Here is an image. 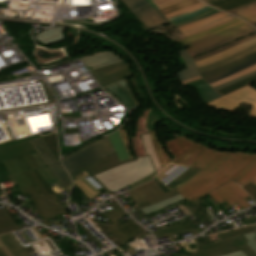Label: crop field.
<instances>
[{"instance_id": "crop-field-51", "label": "crop field", "mask_w": 256, "mask_h": 256, "mask_svg": "<svg viewBox=\"0 0 256 256\" xmlns=\"http://www.w3.org/2000/svg\"><path fill=\"white\" fill-rule=\"evenodd\" d=\"M149 5L155 10V12L161 17V19L164 21L166 24H171L165 16L161 13V11L154 5V3L151 0H146Z\"/></svg>"}, {"instance_id": "crop-field-25", "label": "crop field", "mask_w": 256, "mask_h": 256, "mask_svg": "<svg viewBox=\"0 0 256 256\" xmlns=\"http://www.w3.org/2000/svg\"><path fill=\"white\" fill-rule=\"evenodd\" d=\"M90 176L85 171L72 177L74 183L86 194L90 199L100 193V190L96 189L93 185H91L85 178ZM103 188V187H102ZM101 189V188H100Z\"/></svg>"}, {"instance_id": "crop-field-11", "label": "crop field", "mask_w": 256, "mask_h": 256, "mask_svg": "<svg viewBox=\"0 0 256 256\" xmlns=\"http://www.w3.org/2000/svg\"><path fill=\"white\" fill-rule=\"evenodd\" d=\"M29 142L35 148V150L46 163V165L49 166V168L54 173V175L59 179V181L66 187L68 191H70L71 180L69 179L61 165L57 163V161L55 160V158L53 157V155L51 154V152L49 151L41 137L30 139Z\"/></svg>"}, {"instance_id": "crop-field-46", "label": "crop field", "mask_w": 256, "mask_h": 256, "mask_svg": "<svg viewBox=\"0 0 256 256\" xmlns=\"http://www.w3.org/2000/svg\"><path fill=\"white\" fill-rule=\"evenodd\" d=\"M152 1L155 3V5L159 9H161V8L168 7V6L177 4V3L185 1V0H152Z\"/></svg>"}, {"instance_id": "crop-field-45", "label": "crop field", "mask_w": 256, "mask_h": 256, "mask_svg": "<svg viewBox=\"0 0 256 256\" xmlns=\"http://www.w3.org/2000/svg\"><path fill=\"white\" fill-rule=\"evenodd\" d=\"M207 84L208 83L206 81H204L200 76L193 78L191 80L182 82L183 86H190V87H194V88H199V87H202Z\"/></svg>"}, {"instance_id": "crop-field-30", "label": "crop field", "mask_w": 256, "mask_h": 256, "mask_svg": "<svg viewBox=\"0 0 256 256\" xmlns=\"http://www.w3.org/2000/svg\"><path fill=\"white\" fill-rule=\"evenodd\" d=\"M250 24L256 22V3L229 12Z\"/></svg>"}, {"instance_id": "crop-field-17", "label": "crop field", "mask_w": 256, "mask_h": 256, "mask_svg": "<svg viewBox=\"0 0 256 256\" xmlns=\"http://www.w3.org/2000/svg\"><path fill=\"white\" fill-rule=\"evenodd\" d=\"M135 159H136V158H134V159H132V160H135ZM132 160H129V161H132ZM125 162H128V161H125ZM125 162L119 163V161H118V159H117V156H116V154L114 153V154H112V155L106 156V157H104V158H102V159H100V160H98V161H96V162L90 164L89 166H87V167H85V168H83V169H81V170H79V171H77V172L71 174V177L85 170V171L88 172L99 184H101V185L105 188V186H104L102 183H100L93 175H95V174H97V173H100V172H102V171H105V170H107V169H109V168H112V167H114V166H117V165H119V164L125 163ZM105 189H106V188H105ZM106 190H107V189H106ZM106 190H105V191H106ZM107 192H108V190H107ZM108 193H109V192H108ZM109 194H110V193H109ZM110 195H111V194H110Z\"/></svg>"}, {"instance_id": "crop-field-43", "label": "crop field", "mask_w": 256, "mask_h": 256, "mask_svg": "<svg viewBox=\"0 0 256 256\" xmlns=\"http://www.w3.org/2000/svg\"><path fill=\"white\" fill-rule=\"evenodd\" d=\"M197 2H199V1L198 0H188V1H185V2H182V3H179L177 5L161 9V11L163 12L164 15H166V14H169L171 12L177 11L179 9H182V8L188 7L190 5H193Z\"/></svg>"}, {"instance_id": "crop-field-44", "label": "crop field", "mask_w": 256, "mask_h": 256, "mask_svg": "<svg viewBox=\"0 0 256 256\" xmlns=\"http://www.w3.org/2000/svg\"><path fill=\"white\" fill-rule=\"evenodd\" d=\"M255 70H256V66H254V67H252V68H249V69H247V70H245V71H242V72H240V73H237V74H235V75H233V76H230V77H228V78H226V79H223V80H221V81H218V82H216V83H212L211 86L214 87V86L221 85V84H223V83H226V82H229V81H231V80H234V79H236V78H238V77H241V76H243V75H245V74H248V73H250V72H252V71H255Z\"/></svg>"}, {"instance_id": "crop-field-28", "label": "crop field", "mask_w": 256, "mask_h": 256, "mask_svg": "<svg viewBox=\"0 0 256 256\" xmlns=\"http://www.w3.org/2000/svg\"><path fill=\"white\" fill-rule=\"evenodd\" d=\"M140 137H141V141H142L143 148H144V154L149 155L151 162L154 166V169L156 171V174H157L162 169H161V167L158 163V160L156 158V155L154 153V149H153L149 131L147 133L141 135Z\"/></svg>"}, {"instance_id": "crop-field-42", "label": "crop field", "mask_w": 256, "mask_h": 256, "mask_svg": "<svg viewBox=\"0 0 256 256\" xmlns=\"http://www.w3.org/2000/svg\"><path fill=\"white\" fill-rule=\"evenodd\" d=\"M186 169L187 168H185V167L175 165L170 170H168L166 173H164L167 176L164 179H162L161 181L166 185L167 183H169L171 180H173L176 176H178L180 173H182Z\"/></svg>"}, {"instance_id": "crop-field-1", "label": "crop field", "mask_w": 256, "mask_h": 256, "mask_svg": "<svg viewBox=\"0 0 256 256\" xmlns=\"http://www.w3.org/2000/svg\"><path fill=\"white\" fill-rule=\"evenodd\" d=\"M186 166L202 169L177 191L189 202L206 194L218 203H238L244 209L251 207L243 199L247 195L240 186L252 181L256 184V154L222 152L207 147Z\"/></svg>"}, {"instance_id": "crop-field-35", "label": "crop field", "mask_w": 256, "mask_h": 256, "mask_svg": "<svg viewBox=\"0 0 256 256\" xmlns=\"http://www.w3.org/2000/svg\"><path fill=\"white\" fill-rule=\"evenodd\" d=\"M254 51H256V45L253 46V47H251V48H249V49H247V50H245V51H243V52H240V53H238V54H235V55H233V56H231V57H228V58L223 59V60H221V61H218V62L209 64V65H206V66H204V67H201V68H199L198 70H199V72H201V71H205V70H208V69H211V68H214V67H218V66L227 64V63H229V62H231V61H233V60H235V59H237V58H239V57H242V56L247 55V54H249V53H252V52H254Z\"/></svg>"}, {"instance_id": "crop-field-21", "label": "crop field", "mask_w": 256, "mask_h": 256, "mask_svg": "<svg viewBox=\"0 0 256 256\" xmlns=\"http://www.w3.org/2000/svg\"><path fill=\"white\" fill-rule=\"evenodd\" d=\"M0 240L8 248V250L13 254V256H29L23 246L18 242V240L13 236L12 233L0 236ZM0 256H5L0 249Z\"/></svg>"}, {"instance_id": "crop-field-38", "label": "crop field", "mask_w": 256, "mask_h": 256, "mask_svg": "<svg viewBox=\"0 0 256 256\" xmlns=\"http://www.w3.org/2000/svg\"><path fill=\"white\" fill-rule=\"evenodd\" d=\"M196 91H197L202 103H204V104L213 99L220 97L218 94H216L213 91L212 87L209 85L199 88Z\"/></svg>"}, {"instance_id": "crop-field-54", "label": "crop field", "mask_w": 256, "mask_h": 256, "mask_svg": "<svg viewBox=\"0 0 256 256\" xmlns=\"http://www.w3.org/2000/svg\"><path fill=\"white\" fill-rule=\"evenodd\" d=\"M242 188L256 201V191H254L248 184L242 186Z\"/></svg>"}, {"instance_id": "crop-field-10", "label": "crop field", "mask_w": 256, "mask_h": 256, "mask_svg": "<svg viewBox=\"0 0 256 256\" xmlns=\"http://www.w3.org/2000/svg\"><path fill=\"white\" fill-rule=\"evenodd\" d=\"M256 64V52L239 58L227 65L214 68L205 72H201L200 75L209 83L216 82L237 72L245 70Z\"/></svg>"}, {"instance_id": "crop-field-48", "label": "crop field", "mask_w": 256, "mask_h": 256, "mask_svg": "<svg viewBox=\"0 0 256 256\" xmlns=\"http://www.w3.org/2000/svg\"><path fill=\"white\" fill-rule=\"evenodd\" d=\"M12 180L8 170L4 166L3 162L0 163V183Z\"/></svg>"}, {"instance_id": "crop-field-56", "label": "crop field", "mask_w": 256, "mask_h": 256, "mask_svg": "<svg viewBox=\"0 0 256 256\" xmlns=\"http://www.w3.org/2000/svg\"><path fill=\"white\" fill-rule=\"evenodd\" d=\"M154 175H155V173L152 174V175H150V176H148V177H146V178H144V179H142V180H140V181H138V182H136V183H134V184H132V185H130L131 188H134V187H136V186H138V185H141V184H143V183H145V182H147V181L152 180V178L154 177Z\"/></svg>"}, {"instance_id": "crop-field-8", "label": "crop field", "mask_w": 256, "mask_h": 256, "mask_svg": "<svg viewBox=\"0 0 256 256\" xmlns=\"http://www.w3.org/2000/svg\"><path fill=\"white\" fill-rule=\"evenodd\" d=\"M165 142L167 148L175 157L171 163L184 166L206 148V145L198 142L196 143L178 134H175L174 138L168 139Z\"/></svg>"}, {"instance_id": "crop-field-59", "label": "crop field", "mask_w": 256, "mask_h": 256, "mask_svg": "<svg viewBox=\"0 0 256 256\" xmlns=\"http://www.w3.org/2000/svg\"><path fill=\"white\" fill-rule=\"evenodd\" d=\"M173 165H169V166H167L165 169H163L159 174H158V178L161 180L163 177H165L166 175H164L163 173L165 172V171H167L169 168H171Z\"/></svg>"}, {"instance_id": "crop-field-36", "label": "crop field", "mask_w": 256, "mask_h": 256, "mask_svg": "<svg viewBox=\"0 0 256 256\" xmlns=\"http://www.w3.org/2000/svg\"><path fill=\"white\" fill-rule=\"evenodd\" d=\"M185 232H187V230L182 225V223H180V224L173 225V226H170L168 228H165L163 230L153 232V234L156 238H159V237H164V236L169 237V236H173V235H176V234H179V233L182 234V233H185Z\"/></svg>"}, {"instance_id": "crop-field-61", "label": "crop field", "mask_w": 256, "mask_h": 256, "mask_svg": "<svg viewBox=\"0 0 256 256\" xmlns=\"http://www.w3.org/2000/svg\"><path fill=\"white\" fill-rule=\"evenodd\" d=\"M1 249L6 254V256H12V254L7 250V248L3 245V243L0 241Z\"/></svg>"}, {"instance_id": "crop-field-15", "label": "crop field", "mask_w": 256, "mask_h": 256, "mask_svg": "<svg viewBox=\"0 0 256 256\" xmlns=\"http://www.w3.org/2000/svg\"><path fill=\"white\" fill-rule=\"evenodd\" d=\"M103 89L108 91L111 95L122 102L129 111L139 106L137 99L135 98L125 79L112 85L106 86Z\"/></svg>"}, {"instance_id": "crop-field-34", "label": "crop field", "mask_w": 256, "mask_h": 256, "mask_svg": "<svg viewBox=\"0 0 256 256\" xmlns=\"http://www.w3.org/2000/svg\"><path fill=\"white\" fill-rule=\"evenodd\" d=\"M181 199H183V197L180 194H178V195H176L174 197H171L169 199H166L162 202H159V203L154 204V205L147 206V207L139 209V210H142L146 215H148V214H150L152 212H155L159 209H162V208H164V207H166V206H168L172 203H175V202H177ZM139 210H136V211H139ZM136 211H134V212H136ZM134 212H131L130 214H132Z\"/></svg>"}, {"instance_id": "crop-field-27", "label": "crop field", "mask_w": 256, "mask_h": 256, "mask_svg": "<svg viewBox=\"0 0 256 256\" xmlns=\"http://www.w3.org/2000/svg\"><path fill=\"white\" fill-rule=\"evenodd\" d=\"M195 240L198 243L201 251L234 243L232 238L219 242L216 234L197 238Z\"/></svg>"}, {"instance_id": "crop-field-6", "label": "crop field", "mask_w": 256, "mask_h": 256, "mask_svg": "<svg viewBox=\"0 0 256 256\" xmlns=\"http://www.w3.org/2000/svg\"><path fill=\"white\" fill-rule=\"evenodd\" d=\"M109 206L113 210L104 213V215L113 223V225L107 226L106 228L121 244L127 243L133 238L147 232L133 219L120 225L116 219L127 214L116 202L109 204Z\"/></svg>"}, {"instance_id": "crop-field-37", "label": "crop field", "mask_w": 256, "mask_h": 256, "mask_svg": "<svg viewBox=\"0 0 256 256\" xmlns=\"http://www.w3.org/2000/svg\"><path fill=\"white\" fill-rule=\"evenodd\" d=\"M254 82H256V75H254L252 77H249V78H247L245 80H242V81H240L238 83H235V84H233V85H231L229 87L226 86L227 88L216 90V92L218 94L224 96V95H226V94H228L230 92H233V91H235L237 89H240V88H242V87H244V86H246L248 84L254 83Z\"/></svg>"}, {"instance_id": "crop-field-20", "label": "crop field", "mask_w": 256, "mask_h": 256, "mask_svg": "<svg viewBox=\"0 0 256 256\" xmlns=\"http://www.w3.org/2000/svg\"><path fill=\"white\" fill-rule=\"evenodd\" d=\"M64 28L56 27L52 29H48L34 38L35 42L39 41L46 45H50L56 42H62L66 39L65 35L62 33Z\"/></svg>"}, {"instance_id": "crop-field-64", "label": "crop field", "mask_w": 256, "mask_h": 256, "mask_svg": "<svg viewBox=\"0 0 256 256\" xmlns=\"http://www.w3.org/2000/svg\"><path fill=\"white\" fill-rule=\"evenodd\" d=\"M254 190H256V186H254L253 184L251 183H248Z\"/></svg>"}, {"instance_id": "crop-field-50", "label": "crop field", "mask_w": 256, "mask_h": 256, "mask_svg": "<svg viewBox=\"0 0 256 256\" xmlns=\"http://www.w3.org/2000/svg\"><path fill=\"white\" fill-rule=\"evenodd\" d=\"M237 245L247 256H256V254L252 251V249L247 245L246 242H241Z\"/></svg>"}, {"instance_id": "crop-field-26", "label": "crop field", "mask_w": 256, "mask_h": 256, "mask_svg": "<svg viewBox=\"0 0 256 256\" xmlns=\"http://www.w3.org/2000/svg\"><path fill=\"white\" fill-rule=\"evenodd\" d=\"M108 137L116 151L119 161L121 162V161L129 160L130 156L127 152V149L124 145V142L121 138L119 131H116L115 133L109 135Z\"/></svg>"}, {"instance_id": "crop-field-22", "label": "crop field", "mask_w": 256, "mask_h": 256, "mask_svg": "<svg viewBox=\"0 0 256 256\" xmlns=\"http://www.w3.org/2000/svg\"><path fill=\"white\" fill-rule=\"evenodd\" d=\"M204 3L229 12L241 6L256 2V0H201Z\"/></svg>"}, {"instance_id": "crop-field-29", "label": "crop field", "mask_w": 256, "mask_h": 256, "mask_svg": "<svg viewBox=\"0 0 256 256\" xmlns=\"http://www.w3.org/2000/svg\"><path fill=\"white\" fill-rule=\"evenodd\" d=\"M150 133H151L155 153H156L157 158H158V160H159V162H160V164L163 168L168 163H170L171 160H170L167 152L165 151V149L162 148V146L159 142L157 129L151 130Z\"/></svg>"}, {"instance_id": "crop-field-52", "label": "crop field", "mask_w": 256, "mask_h": 256, "mask_svg": "<svg viewBox=\"0 0 256 256\" xmlns=\"http://www.w3.org/2000/svg\"><path fill=\"white\" fill-rule=\"evenodd\" d=\"M254 74H256V71L253 72V73H250V74H248V75H245V76H243V77H241V78H238V79H236V80H234V81H231V82H229V83L223 84V85L218 86V87H214V90L220 89V88H224V87H226V86H229V85H231V84H233V83H235V82H238V81H240V80H242V79H245V78H247V77H249V76H252V75H254Z\"/></svg>"}, {"instance_id": "crop-field-14", "label": "crop field", "mask_w": 256, "mask_h": 256, "mask_svg": "<svg viewBox=\"0 0 256 256\" xmlns=\"http://www.w3.org/2000/svg\"><path fill=\"white\" fill-rule=\"evenodd\" d=\"M128 193L136 202V204L146 200H148L151 204H153L178 194L176 190L164 194L153 180L144 185H141L137 188H134L128 191Z\"/></svg>"}, {"instance_id": "crop-field-53", "label": "crop field", "mask_w": 256, "mask_h": 256, "mask_svg": "<svg viewBox=\"0 0 256 256\" xmlns=\"http://www.w3.org/2000/svg\"><path fill=\"white\" fill-rule=\"evenodd\" d=\"M96 224L99 226V228L114 242H118L109 232L108 230L105 228V226L100 222H96Z\"/></svg>"}, {"instance_id": "crop-field-13", "label": "crop field", "mask_w": 256, "mask_h": 256, "mask_svg": "<svg viewBox=\"0 0 256 256\" xmlns=\"http://www.w3.org/2000/svg\"><path fill=\"white\" fill-rule=\"evenodd\" d=\"M127 8L150 30L164 25L160 17L145 0H121Z\"/></svg>"}, {"instance_id": "crop-field-33", "label": "crop field", "mask_w": 256, "mask_h": 256, "mask_svg": "<svg viewBox=\"0 0 256 256\" xmlns=\"http://www.w3.org/2000/svg\"><path fill=\"white\" fill-rule=\"evenodd\" d=\"M199 170L189 168L186 171H184L182 174H180L177 178H175L173 181H171L169 184L166 185V187L171 191L173 189H176L189 181L192 177H194Z\"/></svg>"}, {"instance_id": "crop-field-23", "label": "crop field", "mask_w": 256, "mask_h": 256, "mask_svg": "<svg viewBox=\"0 0 256 256\" xmlns=\"http://www.w3.org/2000/svg\"><path fill=\"white\" fill-rule=\"evenodd\" d=\"M196 216H198L202 221L206 220L210 225L214 224L210 219H208L202 212L207 211L216 221H219L207 208L209 207L201 198L189 203L185 199L181 200Z\"/></svg>"}, {"instance_id": "crop-field-18", "label": "crop field", "mask_w": 256, "mask_h": 256, "mask_svg": "<svg viewBox=\"0 0 256 256\" xmlns=\"http://www.w3.org/2000/svg\"><path fill=\"white\" fill-rule=\"evenodd\" d=\"M255 44H256V38L251 39V40H249L247 42H244L242 44H239V45H237L235 47H232L230 49H227V50H225L223 52H220L218 54H215V55H212L210 57H207V58L201 59L199 61H196L195 63L197 65V67L199 68V67L204 66L206 64L221 60V59L226 58L230 55H233L235 53L243 51V50H245V49H247V48H249V47H251Z\"/></svg>"}, {"instance_id": "crop-field-12", "label": "crop field", "mask_w": 256, "mask_h": 256, "mask_svg": "<svg viewBox=\"0 0 256 256\" xmlns=\"http://www.w3.org/2000/svg\"><path fill=\"white\" fill-rule=\"evenodd\" d=\"M91 72L102 87L117 82L125 77H129L133 74L128 61L91 70Z\"/></svg>"}, {"instance_id": "crop-field-5", "label": "crop field", "mask_w": 256, "mask_h": 256, "mask_svg": "<svg viewBox=\"0 0 256 256\" xmlns=\"http://www.w3.org/2000/svg\"><path fill=\"white\" fill-rule=\"evenodd\" d=\"M108 137L93 141L61 158L68 173H72L106 155L114 153Z\"/></svg>"}, {"instance_id": "crop-field-65", "label": "crop field", "mask_w": 256, "mask_h": 256, "mask_svg": "<svg viewBox=\"0 0 256 256\" xmlns=\"http://www.w3.org/2000/svg\"><path fill=\"white\" fill-rule=\"evenodd\" d=\"M252 25L256 26V23H255V24H252Z\"/></svg>"}, {"instance_id": "crop-field-4", "label": "crop field", "mask_w": 256, "mask_h": 256, "mask_svg": "<svg viewBox=\"0 0 256 256\" xmlns=\"http://www.w3.org/2000/svg\"><path fill=\"white\" fill-rule=\"evenodd\" d=\"M154 172L150 159L146 156L109 169L95 175V177L100 180L109 191H111L110 193H113L114 191L130 185Z\"/></svg>"}, {"instance_id": "crop-field-40", "label": "crop field", "mask_w": 256, "mask_h": 256, "mask_svg": "<svg viewBox=\"0 0 256 256\" xmlns=\"http://www.w3.org/2000/svg\"><path fill=\"white\" fill-rule=\"evenodd\" d=\"M42 139L56 158L59 163V152H58V144H57V137L55 134L43 136ZM60 164V163H59Z\"/></svg>"}, {"instance_id": "crop-field-63", "label": "crop field", "mask_w": 256, "mask_h": 256, "mask_svg": "<svg viewBox=\"0 0 256 256\" xmlns=\"http://www.w3.org/2000/svg\"><path fill=\"white\" fill-rule=\"evenodd\" d=\"M224 256H245V254L242 251H240V252H236V253H232Z\"/></svg>"}, {"instance_id": "crop-field-16", "label": "crop field", "mask_w": 256, "mask_h": 256, "mask_svg": "<svg viewBox=\"0 0 256 256\" xmlns=\"http://www.w3.org/2000/svg\"><path fill=\"white\" fill-rule=\"evenodd\" d=\"M80 58L89 70L125 61L113 51L99 52Z\"/></svg>"}, {"instance_id": "crop-field-55", "label": "crop field", "mask_w": 256, "mask_h": 256, "mask_svg": "<svg viewBox=\"0 0 256 256\" xmlns=\"http://www.w3.org/2000/svg\"><path fill=\"white\" fill-rule=\"evenodd\" d=\"M252 105H248V104H244L242 103L237 109L236 111H240V112H244V113H248L251 109Z\"/></svg>"}, {"instance_id": "crop-field-32", "label": "crop field", "mask_w": 256, "mask_h": 256, "mask_svg": "<svg viewBox=\"0 0 256 256\" xmlns=\"http://www.w3.org/2000/svg\"><path fill=\"white\" fill-rule=\"evenodd\" d=\"M18 230L17 225L8 214L7 210L0 209V234Z\"/></svg>"}, {"instance_id": "crop-field-60", "label": "crop field", "mask_w": 256, "mask_h": 256, "mask_svg": "<svg viewBox=\"0 0 256 256\" xmlns=\"http://www.w3.org/2000/svg\"><path fill=\"white\" fill-rule=\"evenodd\" d=\"M90 183H92L97 189L102 187L101 185H99L91 176L86 178Z\"/></svg>"}, {"instance_id": "crop-field-62", "label": "crop field", "mask_w": 256, "mask_h": 256, "mask_svg": "<svg viewBox=\"0 0 256 256\" xmlns=\"http://www.w3.org/2000/svg\"><path fill=\"white\" fill-rule=\"evenodd\" d=\"M233 239H234V241H235L236 243L241 242V241H246V239L244 238L243 235H241V236H239V237H235V238H233Z\"/></svg>"}, {"instance_id": "crop-field-9", "label": "crop field", "mask_w": 256, "mask_h": 256, "mask_svg": "<svg viewBox=\"0 0 256 256\" xmlns=\"http://www.w3.org/2000/svg\"><path fill=\"white\" fill-rule=\"evenodd\" d=\"M236 19L235 17L223 13L221 11L214 12L212 14L203 16L201 18L192 20L190 22L181 24L174 27L179 33L183 34L184 37L198 33L200 31L215 27L225 22Z\"/></svg>"}, {"instance_id": "crop-field-47", "label": "crop field", "mask_w": 256, "mask_h": 256, "mask_svg": "<svg viewBox=\"0 0 256 256\" xmlns=\"http://www.w3.org/2000/svg\"><path fill=\"white\" fill-rule=\"evenodd\" d=\"M203 5H205V4H203V3L200 2V3L196 4V5H193V6H190V7H188V8L182 9V10H180V11H177V12L171 13V14H169V15H166V17H167V19H169V18L178 16V15L184 14V13H186V12L192 11V10H194V9H197V8L203 6Z\"/></svg>"}, {"instance_id": "crop-field-2", "label": "crop field", "mask_w": 256, "mask_h": 256, "mask_svg": "<svg viewBox=\"0 0 256 256\" xmlns=\"http://www.w3.org/2000/svg\"><path fill=\"white\" fill-rule=\"evenodd\" d=\"M32 151L28 140L0 147V162L6 165L21 194L30 195L43 222L50 227L47 219L69 212L66 204L57 203L58 196L36 170L40 167Z\"/></svg>"}, {"instance_id": "crop-field-3", "label": "crop field", "mask_w": 256, "mask_h": 256, "mask_svg": "<svg viewBox=\"0 0 256 256\" xmlns=\"http://www.w3.org/2000/svg\"><path fill=\"white\" fill-rule=\"evenodd\" d=\"M255 32L256 29L254 27L236 19L218 27L176 41L185 47L190 56L193 57Z\"/></svg>"}, {"instance_id": "crop-field-57", "label": "crop field", "mask_w": 256, "mask_h": 256, "mask_svg": "<svg viewBox=\"0 0 256 256\" xmlns=\"http://www.w3.org/2000/svg\"><path fill=\"white\" fill-rule=\"evenodd\" d=\"M182 223L184 224L188 231L196 228V226L190 220L184 221Z\"/></svg>"}, {"instance_id": "crop-field-24", "label": "crop field", "mask_w": 256, "mask_h": 256, "mask_svg": "<svg viewBox=\"0 0 256 256\" xmlns=\"http://www.w3.org/2000/svg\"><path fill=\"white\" fill-rule=\"evenodd\" d=\"M214 11H217L207 5L197 9V10H194L192 12H189V13H186L184 15H181V16H178V17H175V18H172V19H169V21L172 23L171 25L172 26H176V25H179L181 23H184V22H187V21H190L192 19H195V18H198V17H201L203 15H206V14H209V13H212Z\"/></svg>"}, {"instance_id": "crop-field-31", "label": "crop field", "mask_w": 256, "mask_h": 256, "mask_svg": "<svg viewBox=\"0 0 256 256\" xmlns=\"http://www.w3.org/2000/svg\"><path fill=\"white\" fill-rule=\"evenodd\" d=\"M236 251H240V249L234 243V244L222 246L219 248L203 251V252L196 253L193 255H188V256H220V255H224V254H228Z\"/></svg>"}, {"instance_id": "crop-field-7", "label": "crop field", "mask_w": 256, "mask_h": 256, "mask_svg": "<svg viewBox=\"0 0 256 256\" xmlns=\"http://www.w3.org/2000/svg\"><path fill=\"white\" fill-rule=\"evenodd\" d=\"M242 102L253 104L249 117L256 118V89H254L250 85L240 90H237L233 93H230L224 97H220L205 105H209L212 108H216L231 113Z\"/></svg>"}, {"instance_id": "crop-field-39", "label": "crop field", "mask_w": 256, "mask_h": 256, "mask_svg": "<svg viewBox=\"0 0 256 256\" xmlns=\"http://www.w3.org/2000/svg\"><path fill=\"white\" fill-rule=\"evenodd\" d=\"M254 231H256V230H255L254 226L251 225V226L243 227V228L236 229V230L218 233L217 235L219 237V240L221 241V240H224V239H227L230 237L239 236L241 234L254 232Z\"/></svg>"}, {"instance_id": "crop-field-58", "label": "crop field", "mask_w": 256, "mask_h": 256, "mask_svg": "<svg viewBox=\"0 0 256 256\" xmlns=\"http://www.w3.org/2000/svg\"><path fill=\"white\" fill-rule=\"evenodd\" d=\"M154 181L162 189L164 193L169 192V190L160 182V180L157 177L154 179Z\"/></svg>"}, {"instance_id": "crop-field-49", "label": "crop field", "mask_w": 256, "mask_h": 256, "mask_svg": "<svg viewBox=\"0 0 256 256\" xmlns=\"http://www.w3.org/2000/svg\"><path fill=\"white\" fill-rule=\"evenodd\" d=\"M256 228V225H254ZM246 237V239L248 240L247 243L249 244V246L254 250V252L256 253V232L254 233H250V234H245L244 235Z\"/></svg>"}, {"instance_id": "crop-field-41", "label": "crop field", "mask_w": 256, "mask_h": 256, "mask_svg": "<svg viewBox=\"0 0 256 256\" xmlns=\"http://www.w3.org/2000/svg\"><path fill=\"white\" fill-rule=\"evenodd\" d=\"M254 37H256V33L253 34V35H251V36H248V37H246V38H244V39H241V40L238 39L239 41H236V42H234V43L228 44V45H226V46H223V47L217 48V49H215V50L209 51V52H207V53H204V54L198 55V56H196V57H193L192 59H193L194 61L199 60V59H201V58H204V57L210 56V55H212V54L218 53V52H220V51H223V50H225V49H227V48H230V47H232V46H235V45H237V44H239V43H242V42L247 41V40H249V39H251V38H254Z\"/></svg>"}, {"instance_id": "crop-field-19", "label": "crop field", "mask_w": 256, "mask_h": 256, "mask_svg": "<svg viewBox=\"0 0 256 256\" xmlns=\"http://www.w3.org/2000/svg\"><path fill=\"white\" fill-rule=\"evenodd\" d=\"M178 53L187 67L186 69L175 74L176 77L180 80V82L199 76V73L195 67V64L193 60L190 58V56L188 55V53L184 49L178 50Z\"/></svg>"}]
</instances>
